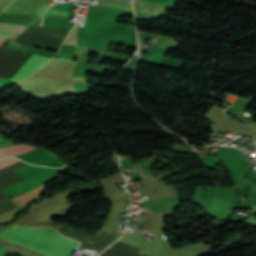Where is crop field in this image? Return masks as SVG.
Listing matches in <instances>:
<instances>
[{
    "label": "crop field",
    "mask_w": 256,
    "mask_h": 256,
    "mask_svg": "<svg viewBox=\"0 0 256 256\" xmlns=\"http://www.w3.org/2000/svg\"><path fill=\"white\" fill-rule=\"evenodd\" d=\"M6 39H0V49L6 43ZM50 58L33 55L30 60L23 66V68L15 75L12 81L19 83L35 70L40 68L46 62H48Z\"/></svg>",
    "instance_id": "3"
},
{
    "label": "crop field",
    "mask_w": 256,
    "mask_h": 256,
    "mask_svg": "<svg viewBox=\"0 0 256 256\" xmlns=\"http://www.w3.org/2000/svg\"><path fill=\"white\" fill-rule=\"evenodd\" d=\"M13 143L10 142L8 139L4 138L1 134H0V147L1 146H9L12 145Z\"/></svg>",
    "instance_id": "9"
},
{
    "label": "crop field",
    "mask_w": 256,
    "mask_h": 256,
    "mask_svg": "<svg viewBox=\"0 0 256 256\" xmlns=\"http://www.w3.org/2000/svg\"><path fill=\"white\" fill-rule=\"evenodd\" d=\"M26 27V25L0 23V38L14 39Z\"/></svg>",
    "instance_id": "4"
},
{
    "label": "crop field",
    "mask_w": 256,
    "mask_h": 256,
    "mask_svg": "<svg viewBox=\"0 0 256 256\" xmlns=\"http://www.w3.org/2000/svg\"><path fill=\"white\" fill-rule=\"evenodd\" d=\"M33 149H35L34 146H28L26 144L4 147L0 148V156L18 155Z\"/></svg>",
    "instance_id": "5"
},
{
    "label": "crop field",
    "mask_w": 256,
    "mask_h": 256,
    "mask_svg": "<svg viewBox=\"0 0 256 256\" xmlns=\"http://www.w3.org/2000/svg\"><path fill=\"white\" fill-rule=\"evenodd\" d=\"M43 15L67 16V17H71V16H73V15H75V14H73L72 12L47 10Z\"/></svg>",
    "instance_id": "6"
},
{
    "label": "crop field",
    "mask_w": 256,
    "mask_h": 256,
    "mask_svg": "<svg viewBox=\"0 0 256 256\" xmlns=\"http://www.w3.org/2000/svg\"><path fill=\"white\" fill-rule=\"evenodd\" d=\"M44 16L42 17V21H41V25L40 26H42L43 25V21H44Z\"/></svg>",
    "instance_id": "10"
},
{
    "label": "crop field",
    "mask_w": 256,
    "mask_h": 256,
    "mask_svg": "<svg viewBox=\"0 0 256 256\" xmlns=\"http://www.w3.org/2000/svg\"><path fill=\"white\" fill-rule=\"evenodd\" d=\"M64 44L76 45V26H74V28L69 33Z\"/></svg>",
    "instance_id": "7"
},
{
    "label": "crop field",
    "mask_w": 256,
    "mask_h": 256,
    "mask_svg": "<svg viewBox=\"0 0 256 256\" xmlns=\"http://www.w3.org/2000/svg\"><path fill=\"white\" fill-rule=\"evenodd\" d=\"M17 161H19V160L14 159V158H5V159H1V160H0V168L5 167V166H7V165H10V164H12V163H14V162H17Z\"/></svg>",
    "instance_id": "8"
},
{
    "label": "crop field",
    "mask_w": 256,
    "mask_h": 256,
    "mask_svg": "<svg viewBox=\"0 0 256 256\" xmlns=\"http://www.w3.org/2000/svg\"><path fill=\"white\" fill-rule=\"evenodd\" d=\"M0 238L32 248L46 256H69L79 243L68 239L52 227H24L15 224L0 231Z\"/></svg>",
    "instance_id": "1"
},
{
    "label": "crop field",
    "mask_w": 256,
    "mask_h": 256,
    "mask_svg": "<svg viewBox=\"0 0 256 256\" xmlns=\"http://www.w3.org/2000/svg\"><path fill=\"white\" fill-rule=\"evenodd\" d=\"M48 7L46 2L38 1H15L2 13L35 14L40 15Z\"/></svg>",
    "instance_id": "2"
}]
</instances>
